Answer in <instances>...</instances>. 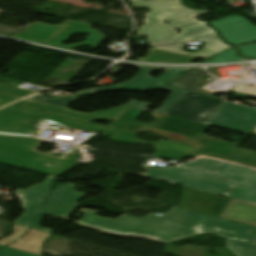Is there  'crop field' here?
I'll list each match as a JSON object with an SVG mask.
<instances>
[{
  "label": "crop field",
  "instance_id": "obj_1",
  "mask_svg": "<svg viewBox=\"0 0 256 256\" xmlns=\"http://www.w3.org/2000/svg\"><path fill=\"white\" fill-rule=\"evenodd\" d=\"M80 212L85 214L78 221L80 225L106 233L140 237L164 244L202 232L211 233L227 238L228 247L237 256H256V247L246 245L256 227L214 216L175 207L164 215L150 214L142 219L122 215L114 220L95 216L97 211L82 209Z\"/></svg>",
  "mask_w": 256,
  "mask_h": 256
},
{
  "label": "crop field",
  "instance_id": "obj_2",
  "mask_svg": "<svg viewBox=\"0 0 256 256\" xmlns=\"http://www.w3.org/2000/svg\"><path fill=\"white\" fill-rule=\"evenodd\" d=\"M130 1L133 3L135 8L148 7L151 9V13L146 15V24L138 30V34L148 36L147 42L152 45L194 40L205 42L206 46L215 48L231 47L224 44L217 37L214 30L205 26V22H199L194 18L196 15L209 13L206 10H190L183 6L180 3V0ZM166 13H169V15H166ZM164 21H168L170 23L165 24L163 23ZM175 27H178L182 32L180 34H176ZM154 48L196 56L202 59H207L226 50L203 47L196 53H189L183 51V44Z\"/></svg>",
  "mask_w": 256,
  "mask_h": 256
},
{
  "label": "crop field",
  "instance_id": "obj_3",
  "mask_svg": "<svg viewBox=\"0 0 256 256\" xmlns=\"http://www.w3.org/2000/svg\"><path fill=\"white\" fill-rule=\"evenodd\" d=\"M219 165L222 167L214 175L237 182L229 194L227 192L235 183L211 176ZM147 169L163 171V175L171 181L185 187L256 204V174L253 169L205 157L198 162L179 164L174 167L148 166Z\"/></svg>",
  "mask_w": 256,
  "mask_h": 256
},
{
  "label": "crop field",
  "instance_id": "obj_4",
  "mask_svg": "<svg viewBox=\"0 0 256 256\" xmlns=\"http://www.w3.org/2000/svg\"><path fill=\"white\" fill-rule=\"evenodd\" d=\"M67 24L70 25L47 44L74 50L83 45L98 48L101 45V43L105 40V35L91 28V24L71 20H67L62 25H49L35 22L23 34H16L13 37L43 43L49 40L51 37H53ZM73 33H86L90 35L86 39V41L82 43L70 46L62 44V42L68 40L69 36Z\"/></svg>",
  "mask_w": 256,
  "mask_h": 256
},
{
  "label": "crop field",
  "instance_id": "obj_5",
  "mask_svg": "<svg viewBox=\"0 0 256 256\" xmlns=\"http://www.w3.org/2000/svg\"><path fill=\"white\" fill-rule=\"evenodd\" d=\"M140 68V72L135 74L134 78L128 82L117 84L113 86L120 87L124 90H143L155 83L157 85L153 86L147 91H154L159 88L168 89L172 91V95L165 101V103L159 107L154 112L166 114L171 107L181 98V96L185 93V91L178 90L172 87L164 86L170 81L174 80L181 74L185 73L189 69L186 68H163V67H142ZM155 69H166L167 72L157 78H151L150 75Z\"/></svg>",
  "mask_w": 256,
  "mask_h": 256
},
{
  "label": "crop field",
  "instance_id": "obj_6",
  "mask_svg": "<svg viewBox=\"0 0 256 256\" xmlns=\"http://www.w3.org/2000/svg\"><path fill=\"white\" fill-rule=\"evenodd\" d=\"M28 101H30V100L25 99L16 104L19 105L21 103L28 102ZM23 106L41 110V111H45V112L59 114L62 116H68V117H73V118H77V119H81V120H86V121L95 120V119H111V118L115 117L117 114H119L121 111H123L125 108H127V106H121V107H118V108H115L112 110L99 112V113H95V114H82V113L69 111L63 107H57V106H53V105H49V104H45V103H41V102H34V101H32L26 105H23ZM110 127L127 130V131H131V132L149 130L156 135L166 137L175 142H177L180 138L183 137V135H179V134H175V133H171V132H167V131H163V130H159V129L144 127V126H140V125H135V124L127 123V122H122V121H118V120H115L110 125Z\"/></svg>",
  "mask_w": 256,
  "mask_h": 256
},
{
  "label": "crop field",
  "instance_id": "obj_7",
  "mask_svg": "<svg viewBox=\"0 0 256 256\" xmlns=\"http://www.w3.org/2000/svg\"><path fill=\"white\" fill-rule=\"evenodd\" d=\"M222 103L223 100L186 92L167 114L206 123Z\"/></svg>",
  "mask_w": 256,
  "mask_h": 256
},
{
  "label": "crop field",
  "instance_id": "obj_8",
  "mask_svg": "<svg viewBox=\"0 0 256 256\" xmlns=\"http://www.w3.org/2000/svg\"><path fill=\"white\" fill-rule=\"evenodd\" d=\"M207 123L248 133L256 126V108L224 101Z\"/></svg>",
  "mask_w": 256,
  "mask_h": 256
},
{
  "label": "crop field",
  "instance_id": "obj_9",
  "mask_svg": "<svg viewBox=\"0 0 256 256\" xmlns=\"http://www.w3.org/2000/svg\"><path fill=\"white\" fill-rule=\"evenodd\" d=\"M38 118L48 119L53 122L60 123L62 125L79 128L83 130H90V131H96V132L102 131L106 134L113 135L114 137L112 139L119 142H125V143L143 142L134 138L135 133L117 130V129H113L105 126H99V125L91 124L89 122H85V121H81L73 118L61 117L55 114H50V115H46ZM144 143H148V142H144ZM150 144H153V143H150ZM154 145L162 146L165 148H172V149L185 151L189 153H193L197 149L196 147L183 145L175 142L160 141Z\"/></svg>",
  "mask_w": 256,
  "mask_h": 256
},
{
  "label": "crop field",
  "instance_id": "obj_10",
  "mask_svg": "<svg viewBox=\"0 0 256 256\" xmlns=\"http://www.w3.org/2000/svg\"><path fill=\"white\" fill-rule=\"evenodd\" d=\"M75 187L76 186L70 184H62L59 185L57 190L52 191L32 228L51 233L52 230L42 228L38 225L41 221L42 215L45 213L51 214L50 212L52 211L54 212L52 215L68 218L78 206V199L84 196V193L76 192L74 190Z\"/></svg>",
  "mask_w": 256,
  "mask_h": 256
},
{
  "label": "crop field",
  "instance_id": "obj_11",
  "mask_svg": "<svg viewBox=\"0 0 256 256\" xmlns=\"http://www.w3.org/2000/svg\"><path fill=\"white\" fill-rule=\"evenodd\" d=\"M45 114L49 113L10 105L0 110V133L38 137L39 134L32 132L31 125L38 120L35 117Z\"/></svg>",
  "mask_w": 256,
  "mask_h": 256
},
{
  "label": "crop field",
  "instance_id": "obj_12",
  "mask_svg": "<svg viewBox=\"0 0 256 256\" xmlns=\"http://www.w3.org/2000/svg\"><path fill=\"white\" fill-rule=\"evenodd\" d=\"M41 140L22 136L0 135V162L44 173L50 168L20 164L15 157L32 150Z\"/></svg>",
  "mask_w": 256,
  "mask_h": 256
},
{
  "label": "crop field",
  "instance_id": "obj_13",
  "mask_svg": "<svg viewBox=\"0 0 256 256\" xmlns=\"http://www.w3.org/2000/svg\"><path fill=\"white\" fill-rule=\"evenodd\" d=\"M231 199L182 188L181 200L176 207L219 217Z\"/></svg>",
  "mask_w": 256,
  "mask_h": 256
},
{
  "label": "crop field",
  "instance_id": "obj_14",
  "mask_svg": "<svg viewBox=\"0 0 256 256\" xmlns=\"http://www.w3.org/2000/svg\"><path fill=\"white\" fill-rule=\"evenodd\" d=\"M224 38L234 45L245 44L256 41V26L248 20L231 16L211 22Z\"/></svg>",
  "mask_w": 256,
  "mask_h": 256
},
{
  "label": "crop field",
  "instance_id": "obj_15",
  "mask_svg": "<svg viewBox=\"0 0 256 256\" xmlns=\"http://www.w3.org/2000/svg\"><path fill=\"white\" fill-rule=\"evenodd\" d=\"M52 179L53 177H48L42 184H36L29 189L14 191L23 201V208L26 209L22 217L14 221L15 224L29 227L50 190Z\"/></svg>",
  "mask_w": 256,
  "mask_h": 256
},
{
  "label": "crop field",
  "instance_id": "obj_16",
  "mask_svg": "<svg viewBox=\"0 0 256 256\" xmlns=\"http://www.w3.org/2000/svg\"><path fill=\"white\" fill-rule=\"evenodd\" d=\"M78 156L77 154L70 152L64 159L39 153L34 148L29 153L17 157V160L21 163L28 165H40L46 166L45 164H51L47 167H66L71 164L76 165Z\"/></svg>",
  "mask_w": 256,
  "mask_h": 256
},
{
  "label": "crop field",
  "instance_id": "obj_17",
  "mask_svg": "<svg viewBox=\"0 0 256 256\" xmlns=\"http://www.w3.org/2000/svg\"><path fill=\"white\" fill-rule=\"evenodd\" d=\"M222 217L256 225V205L233 200Z\"/></svg>",
  "mask_w": 256,
  "mask_h": 256
},
{
  "label": "crop field",
  "instance_id": "obj_18",
  "mask_svg": "<svg viewBox=\"0 0 256 256\" xmlns=\"http://www.w3.org/2000/svg\"><path fill=\"white\" fill-rule=\"evenodd\" d=\"M50 237V233H45L37 230L30 229L28 235L17 240L15 243L10 245L17 249L25 250L35 254L41 255V248L46 239Z\"/></svg>",
  "mask_w": 256,
  "mask_h": 256
},
{
  "label": "crop field",
  "instance_id": "obj_19",
  "mask_svg": "<svg viewBox=\"0 0 256 256\" xmlns=\"http://www.w3.org/2000/svg\"><path fill=\"white\" fill-rule=\"evenodd\" d=\"M203 75H205L203 70L193 69L189 73H187L185 76L177 79L176 81H174V82H172L168 85L175 86V87L185 89V90H188V91H192V92H196V93L211 96L210 93L205 92V91H201L198 88L199 80L201 79V77Z\"/></svg>",
  "mask_w": 256,
  "mask_h": 256
},
{
  "label": "crop field",
  "instance_id": "obj_20",
  "mask_svg": "<svg viewBox=\"0 0 256 256\" xmlns=\"http://www.w3.org/2000/svg\"><path fill=\"white\" fill-rule=\"evenodd\" d=\"M195 59L196 57L175 54V53H170V52L149 48V53L144 60H152V61H160V62H168V63H190Z\"/></svg>",
  "mask_w": 256,
  "mask_h": 256
},
{
  "label": "crop field",
  "instance_id": "obj_21",
  "mask_svg": "<svg viewBox=\"0 0 256 256\" xmlns=\"http://www.w3.org/2000/svg\"><path fill=\"white\" fill-rule=\"evenodd\" d=\"M154 148L157 149L154 154V156H156V157H165V158L181 160L186 156H192V157L198 156V155L180 152V151H176V150H172V149H164V148L157 147V146H155Z\"/></svg>",
  "mask_w": 256,
  "mask_h": 256
},
{
  "label": "crop field",
  "instance_id": "obj_22",
  "mask_svg": "<svg viewBox=\"0 0 256 256\" xmlns=\"http://www.w3.org/2000/svg\"><path fill=\"white\" fill-rule=\"evenodd\" d=\"M236 49L233 48L231 50H228L222 54H219L204 63H222V62H232V61H242V60H249L245 58H240L236 55Z\"/></svg>",
  "mask_w": 256,
  "mask_h": 256
},
{
  "label": "crop field",
  "instance_id": "obj_23",
  "mask_svg": "<svg viewBox=\"0 0 256 256\" xmlns=\"http://www.w3.org/2000/svg\"><path fill=\"white\" fill-rule=\"evenodd\" d=\"M0 93L23 98V97L33 94L34 92H30V91H26V90H22V89H18V88L0 84Z\"/></svg>",
  "mask_w": 256,
  "mask_h": 256
},
{
  "label": "crop field",
  "instance_id": "obj_24",
  "mask_svg": "<svg viewBox=\"0 0 256 256\" xmlns=\"http://www.w3.org/2000/svg\"><path fill=\"white\" fill-rule=\"evenodd\" d=\"M12 229H13L12 234L3 240H0V244L6 245L16 240L18 237L25 234L28 228L13 224Z\"/></svg>",
  "mask_w": 256,
  "mask_h": 256
},
{
  "label": "crop field",
  "instance_id": "obj_25",
  "mask_svg": "<svg viewBox=\"0 0 256 256\" xmlns=\"http://www.w3.org/2000/svg\"><path fill=\"white\" fill-rule=\"evenodd\" d=\"M3 247V245L0 246V249ZM0 256H39L32 253L24 252L21 250H17L14 248L7 247L0 251Z\"/></svg>",
  "mask_w": 256,
  "mask_h": 256
},
{
  "label": "crop field",
  "instance_id": "obj_26",
  "mask_svg": "<svg viewBox=\"0 0 256 256\" xmlns=\"http://www.w3.org/2000/svg\"><path fill=\"white\" fill-rule=\"evenodd\" d=\"M238 49L240 50V55L256 58V44L238 47ZM248 51H252V53L248 54Z\"/></svg>",
  "mask_w": 256,
  "mask_h": 256
},
{
  "label": "crop field",
  "instance_id": "obj_27",
  "mask_svg": "<svg viewBox=\"0 0 256 256\" xmlns=\"http://www.w3.org/2000/svg\"><path fill=\"white\" fill-rule=\"evenodd\" d=\"M115 90H122V89L117 88V87H113V86H108V87L92 88L90 90L79 92V93H76V94L83 95V94H91V93H95V92L115 91Z\"/></svg>",
  "mask_w": 256,
  "mask_h": 256
},
{
  "label": "crop field",
  "instance_id": "obj_28",
  "mask_svg": "<svg viewBox=\"0 0 256 256\" xmlns=\"http://www.w3.org/2000/svg\"><path fill=\"white\" fill-rule=\"evenodd\" d=\"M143 175L151 177V178L166 180L168 182H171L169 179H167L165 176L162 175V172L148 170V172ZM171 183H173V182H171Z\"/></svg>",
  "mask_w": 256,
  "mask_h": 256
},
{
  "label": "crop field",
  "instance_id": "obj_29",
  "mask_svg": "<svg viewBox=\"0 0 256 256\" xmlns=\"http://www.w3.org/2000/svg\"><path fill=\"white\" fill-rule=\"evenodd\" d=\"M74 166H69V167H66V168H52L50 169L49 171H47L45 174H48V175H53V176H57L71 168H73Z\"/></svg>",
  "mask_w": 256,
  "mask_h": 256
},
{
  "label": "crop field",
  "instance_id": "obj_30",
  "mask_svg": "<svg viewBox=\"0 0 256 256\" xmlns=\"http://www.w3.org/2000/svg\"><path fill=\"white\" fill-rule=\"evenodd\" d=\"M126 105H127V106H133V107H137V108H141V109L146 110L150 104H149V103H144V102H139V101L131 100V101L128 102Z\"/></svg>",
  "mask_w": 256,
  "mask_h": 256
},
{
  "label": "crop field",
  "instance_id": "obj_31",
  "mask_svg": "<svg viewBox=\"0 0 256 256\" xmlns=\"http://www.w3.org/2000/svg\"><path fill=\"white\" fill-rule=\"evenodd\" d=\"M17 99H19V98L4 95V94H0V106L5 105V104L10 103V102H13Z\"/></svg>",
  "mask_w": 256,
  "mask_h": 256
},
{
  "label": "crop field",
  "instance_id": "obj_32",
  "mask_svg": "<svg viewBox=\"0 0 256 256\" xmlns=\"http://www.w3.org/2000/svg\"><path fill=\"white\" fill-rule=\"evenodd\" d=\"M249 243L256 245V233L254 234V236L252 237V239Z\"/></svg>",
  "mask_w": 256,
  "mask_h": 256
},
{
  "label": "crop field",
  "instance_id": "obj_33",
  "mask_svg": "<svg viewBox=\"0 0 256 256\" xmlns=\"http://www.w3.org/2000/svg\"><path fill=\"white\" fill-rule=\"evenodd\" d=\"M199 1H229V0H199Z\"/></svg>",
  "mask_w": 256,
  "mask_h": 256
},
{
  "label": "crop field",
  "instance_id": "obj_34",
  "mask_svg": "<svg viewBox=\"0 0 256 256\" xmlns=\"http://www.w3.org/2000/svg\"><path fill=\"white\" fill-rule=\"evenodd\" d=\"M252 135H256V129L251 132Z\"/></svg>",
  "mask_w": 256,
  "mask_h": 256
},
{
  "label": "crop field",
  "instance_id": "obj_35",
  "mask_svg": "<svg viewBox=\"0 0 256 256\" xmlns=\"http://www.w3.org/2000/svg\"><path fill=\"white\" fill-rule=\"evenodd\" d=\"M140 61H143V60H140ZM147 62H151V61H147Z\"/></svg>",
  "mask_w": 256,
  "mask_h": 256
}]
</instances>
